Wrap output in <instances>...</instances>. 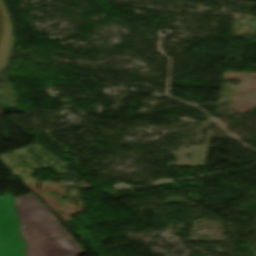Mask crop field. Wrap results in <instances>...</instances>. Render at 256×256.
<instances>
[{"mask_svg":"<svg viewBox=\"0 0 256 256\" xmlns=\"http://www.w3.org/2000/svg\"><path fill=\"white\" fill-rule=\"evenodd\" d=\"M26 256H75L82 249L58 220L32 195L14 198Z\"/></svg>","mask_w":256,"mask_h":256,"instance_id":"obj_1","label":"crop field"},{"mask_svg":"<svg viewBox=\"0 0 256 256\" xmlns=\"http://www.w3.org/2000/svg\"><path fill=\"white\" fill-rule=\"evenodd\" d=\"M15 203L11 197L0 198V256H25L26 246L19 233Z\"/></svg>","mask_w":256,"mask_h":256,"instance_id":"obj_2","label":"crop field"}]
</instances>
